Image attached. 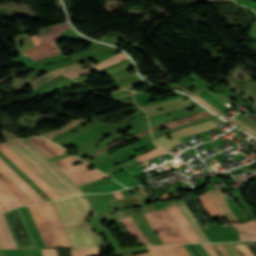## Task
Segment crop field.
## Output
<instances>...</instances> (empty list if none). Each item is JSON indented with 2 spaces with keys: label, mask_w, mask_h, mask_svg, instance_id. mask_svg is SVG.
<instances>
[{
  "label": "crop field",
  "mask_w": 256,
  "mask_h": 256,
  "mask_svg": "<svg viewBox=\"0 0 256 256\" xmlns=\"http://www.w3.org/2000/svg\"><path fill=\"white\" fill-rule=\"evenodd\" d=\"M6 144L13 151H15L32 169H34L62 197L77 194V193H83L27 139L15 141V142H9Z\"/></svg>",
  "instance_id": "crop-field-1"
},
{
  "label": "crop field",
  "mask_w": 256,
  "mask_h": 256,
  "mask_svg": "<svg viewBox=\"0 0 256 256\" xmlns=\"http://www.w3.org/2000/svg\"><path fill=\"white\" fill-rule=\"evenodd\" d=\"M56 207L72 248L95 247L82 220L92 209L85 195H75L52 201Z\"/></svg>",
  "instance_id": "crop-field-2"
},
{
  "label": "crop field",
  "mask_w": 256,
  "mask_h": 256,
  "mask_svg": "<svg viewBox=\"0 0 256 256\" xmlns=\"http://www.w3.org/2000/svg\"><path fill=\"white\" fill-rule=\"evenodd\" d=\"M168 211V210H167ZM166 209L146 213L144 216L153 228L160 235L163 244L189 243Z\"/></svg>",
  "instance_id": "crop-field-3"
},
{
  "label": "crop field",
  "mask_w": 256,
  "mask_h": 256,
  "mask_svg": "<svg viewBox=\"0 0 256 256\" xmlns=\"http://www.w3.org/2000/svg\"><path fill=\"white\" fill-rule=\"evenodd\" d=\"M0 151L5 154L22 172H24L52 200L61 198L38 174H36L19 156L5 143L0 144Z\"/></svg>",
  "instance_id": "crop-field-4"
},
{
  "label": "crop field",
  "mask_w": 256,
  "mask_h": 256,
  "mask_svg": "<svg viewBox=\"0 0 256 256\" xmlns=\"http://www.w3.org/2000/svg\"><path fill=\"white\" fill-rule=\"evenodd\" d=\"M217 126H219V125H217L214 122H212L211 120H209V121L197 124L195 126L183 129V130L165 134V135L161 136L160 138L154 140V142H155V144L159 145L160 147H162L163 149L168 151L171 148H173L174 146L180 144V141L178 139L186 137V136L194 134V133H197V132L212 129ZM168 135L172 138L171 140L166 138Z\"/></svg>",
  "instance_id": "crop-field-5"
},
{
  "label": "crop field",
  "mask_w": 256,
  "mask_h": 256,
  "mask_svg": "<svg viewBox=\"0 0 256 256\" xmlns=\"http://www.w3.org/2000/svg\"><path fill=\"white\" fill-rule=\"evenodd\" d=\"M60 247L71 248L62 222L51 202L41 204Z\"/></svg>",
  "instance_id": "crop-field-6"
},
{
  "label": "crop field",
  "mask_w": 256,
  "mask_h": 256,
  "mask_svg": "<svg viewBox=\"0 0 256 256\" xmlns=\"http://www.w3.org/2000/svg\"><path fill=\"white\" fill-rule=\"evenodd\" d=\"M47 247H59L40 205L28 206ZM30 213V214H31Z\"/></svg>",
  "instance_id": "crop-field-7"
},
{
  "label": "crop field",
  "mask_w": 256,
  "mask_h": 256,
  "mask_svg": "<svg viewBox=\"0 0 256 256\" xmlns=\"http://www.w3.org/2000/svg\"><path fill=\"white\" fill-rule=\"evenodd\" d=\"M16 209H18V211H19V213H20V215H21V218H22V220H23V222H24V225H25V227H26V229H27V231H28V234H29V236H30V238H31V241H32V243H33V245H34V247L19 248V246H18V244H17V242H16V240H15V237H14V235H13V233H12V230H11L9 224H8V221H7V219H6V217H5L4 213H3L2 215H3V217H4L5 221H6V224H7L8 228H9V230H10V233H11L13 239H14V242H15L17 248H18V249L37 248L36 245H35V243H34V240H33L32 236H31V233H30V231H29V229H28V226H27V224H26V222H25V219H24V217H23V215H22V212H21L20 208L18 207V208H16ZM16 209H13V210H16ZM13 210H10V211H13ZM8 212H9V211H8ZM5 213H6V212H5ZM2 215L0 214V248H1V249H17L16 246H15V244H14V242H13V239H12L10 233H9V230H8L6 224H5V221H4L3 217H2Z\"/></svg>",
  "instance_id": "crop-field-8"
},
{
  "label": "crop field",
  "mask_w": 256,
  "mask_h": 256,
  "mask_svg": "<svg viewBox=\"0 0 256 256\" xmlns=\"http://www.w3.org/2000/svg\"><path fill=\"white\" fill-rule=\"evenodd\" d=\"M0 170L8 176L27 196H29L35 203L45 202V200L38 195L26 182H24L11 168H9L0 159ZM28 197V198H29ZM29 198V199H30ZM30 199V200H31Z\"/></svg>",
  "instance_id": "crop-field-9"
},
{
  "label": "crop field",
  "mask_w": 256,
  "mask_h": 256,
  "mask_svg": "<svg viewBox=\"0 0 256 256\" xmlns=\"http://www.w3.org/2000/svg\"><path fill=\"white\" fill-rule=\"evenodd\" d=\"M167 210L172 216V218L175 220L177 225L180 227L182 232L185 234L187 239L190 241V243L201 242V240L196 235V233L194 232L190 224L187 222L181 211L178 209L176 204L167 208Z\"/></svg>",
  "instance_id": "crop-field-10"
},
{
  "label": "crop field",
  "mask_w": 256,
  "mask_h": 256,
  "mask_svg": "<svg viewBox=\"0 0 256 256\" xmlns=\"http://www.w3.org/2000/svg\"><path fill=\"white\" fill-rule=\"evenodd\" d=\"M58 38L60 37L55 36L54 38L26 51L24 54L31 56L35 61L59 54L54 42V40Z\"/></svg>",
  "instance_id": "crop-field-11"
},
{
  "label": "crop field",
  "mask_w": 256,
  "mask_h": 256,
  "mask_svg": "<svg viewBox=\"0 0 256 256\" xmlns=\"http://www.w3.org/2000/svg\"><path fill=\"white\" fill-rule=\"evenodd\" d=\"M209 193H210L217 209L219 210V212L225 219H227L229 222H239L237 217L231 211V209L222 193V189L211 190V191H209Z\"/></svg>",
  "instance_id": "crop-field-12"
},
{
  "label": "crop field",
  "mask_w": 256,
  "mask_h": 256,
  "mask_svg": "<svg viewBox=\"0 0 256 256\" xmlns=\"http://www.w3.org/2000/svg\"><path fill=\"white\" fill-rule=\"evenodd\" d=\"M29 140L33 144H35L49 158L68 153L66 150L54 145L53 143L49 142L48 140L42 137H33Z\"/></svg>",
  "instance_id": "crop-field-13"
},
{
  "label": "crop field",
  "mask_w": 256,
  "mask_h": 256,
  "mask_svg": "<svg viewBox=\"0 0 256 256\" xmlns=\"http://www.w3.org/2000/svg\"><path fill=\"white\" fill-rule=\"evenodd\" d=\"M68 176L78 185H82L85 184L87 182L90 181H94L97 179H101V178H107L106 175H104L103 173H101L100 171H98L97 169H92L90 171H88V169L86 170H82L79 172H75L72 174H68Z\"/></svg>",
  "instance_id": "crop-field-14"
},
{
  "label": "crop field",
  "mask_w": 256,
  "mask_h": 256,
  "mask_svg": "<svg viewBox=\"0 0 256 256\" xmlns=\"http://www.w3.org/2000/svg\"><path fill=\"white\" fill-rule=\"evenodd\" d=\"M71 28L68 24V22H62L58 24H54L51 26L43 27L39 29L38 36L40 39V42H44L48 39H50L52 36L57 35L67 29Z\"/></svg>",
  "instance_id": "crop-field-15"
},
{
  "label": "crop field",
  "mask_w": 256,
  "mask_h": 256,
  "mask_svg": "<svg viewBox=\"0 0 256 256\" xmlns=\"http://www.w3.org/2000/svg\"><path fill=\"white\" fill-rule=\"evenodd\" d=\"M121 223L123 224L124 228L126 229L127 233L131 237H137L139 240L138 243H145V245H151L150 242L144 237L141 233L139 228L137 227L136 223L132 219V217L122 218L120 219Z\"/></svg>",
  "instance_id": "crop-field-16"
},
{
  "label": "crop field",
  "mask_w": 256,
  "mask_h": 256,
  "mask_svg": "<svg viewBox=\"0 0 256 256\" xmlns=\"http://www.w3.org/2000/svg\"><path fill=\"white\" fill-rule=\"evenodd\" d=\"M191 256H207L199 244L183 245ZM182 245L170 246L177 256H190Z\"/></svg>",
  "instance_id": "crop-field-17"
},
{
  "label": "crop field",
  "mask_w": 256,
  "mask_h": 256,
  "mask_svg": "<svg viewBox=\"0 0 256 256\" xmlns=\"http://www.w3.org/2000/svg\"><path fill=\"white\" fill-rule=\"evenodd\" d=\"M239 230L241 240L256 239V221L248 223H230Z\"/></svg>",
  "instance_id": "crop-field-18"
},
{
  "label": "crop field",
  "mask_w": 256,
  "mask_h": 256,
  "mask_svg": "<svg viewBox=\"0 0 256 256\" xmlns=\"http://www.w3.org/2000/svg\"><path fill=\"white\" fill-rule=\"evenodd\" d=\"M176 204L179 207V209L182 211V213L184 214V216L186 217L188 222L191 224V226L193 227V229L195 230L197 235L200 237L202 242H208L207 238L205 237L204 233L200 229L199 225L197 224V222L195 221V219L191 215L190 211L188 210V208L186 207L184 202L181 200Z\"/></svg>",
  "instance_id": "crop-field-19"
},
{
  "label": "crop field",
  "mask_w": 256,
  "mask_h": 256,
  "mask_svg": "<svg viewBox=\"0 0 256 256\" xmlns=\"http://www.w3.org/2000/svg\"><path fill=\"white\" fill-rule=\"evenodd\" d=\"M0 176L3 177L10 185L4 182L0 178V182L13 194L15 195L24 205L33 204L34 202L30 200L12 181H10L6 176L0 172Z\"/></svg>",
  "instance_id": "crop-field-20"
},
{
  "label": "crop field",
  "mask_w": 256,
  "mask_h": 256,
  "mask_svg": "<svg viewBox=\"0 0 256 256\" xmlns=\"http://www.w3.org/2000/svg\"><path fill=\"white\" fill-rule=\"evenodd\" d=\"M218 256H242L233 243L210 244Z\"/></svg>",
  "instance_id": "crop-field-21"
},
{
  "label": "crop field",
  "mask_w": 256,
  "mask_h": 256,
  "mask_svg": "<svg viewBox=\"0 0 256 256\" xmlns=\"http://www.w3.org/2000/svg\"><path fill=\"white\" fill-rule=\"evenodd\" d=\"M201 203L205 207L206 211L210 215V217L217 215L225 224H228L224 218L220 215L218 210L216 209L214 203L212 202L208 192L203 193L202 195L198 196Z\"/></svg>",
  "instance_id": "crop-field-22"
},
{
  "label": "crop field",
  "mask_w": 256,
  "mask_h": 256,
  "mask_svg": "<svg viewBox=\"0 0 256 256\" xmlns=\"http://www.w3.org/2000/svg\"><path fill=\"white\" fill-rule=\"evenodd\" d=\"M0 199L7 205L9 209L23 205L1 183H0Z\"/></svg>",
  "instance_id": "crop-field-23"
},
{
  "label": "crop field",
  "mask_w": 256,
  "mask_h": 256,
  "mask_svg": "<svg viewBox=\"0 0 256 256\" xmlns=\"http://www.w3.org/2000/svg\"><path fill=\"white\" fill-rule=\"evenodd\" d=\"M148 133H150V130H149V129L146 130V131H144V132H141V133H139V134H137V135L131 136V137H129V138L116 141V142H114V143L108 145V146L105 147L104 149L100 150L99 152H97V153H95V154H93V155H91V156H89V157H87V158H85V159H83V160L87 161V160H89V159H91V158H93V157H95V156H97V155H99V154L105 152L106 150H108V149H110V148H112V147H114V146H116V145H119V144H121V143H124V142H126V141H128V140H131V139H133V138H137V137L144 136V135H146V134H148Z\"/></svg>",
  "instance_id": "crop-field-24"
},
{
  "label": "crop field",
  "mask_w": 256,
  "mask_h": 256,
  "mask_svg": "<svg viewBox=\"0 0 256 256\" xmlns=\"http://www.w3.org/2000/svg\"><path fill=\"white\" fill-rule=\"evenodd\" d=\"M124 59H127V57L125 55H123L122 53L114 56V57H111L103 62H100L94 66H92L96 71L101 69V68H104V67H107V66H110L112 64H115V63H118Z\"/></svg>",
  "instance_id": "crop-field-25"
},
{
  "label": "crop field",
  "mask_w": 256,
  "mask_h": 256,
  "mask_svg": "<svg viewBox=\"0 0 256 256\" xmlns=\"http://www.w3.org/2000/svg\"><path fill=\"white\" fill-rule=\"evenodd\" d=\"M154 256H176L169 246H149Z\"/></svg>",
  "instance_id": "crop-field-26"
},
{
  "label": "crop field",
  "mask_w": 256,
  "mask_h": 256,
  "mask_svg": "<svg viewBox=\"0 0 256 256\" xmlns=\"http://www.w3.org/2000/svg\"><path fill=\"white\" fill-rule=\"evenodd\" d=\"M163 153H165L163 150H161L160 148L156 147V148L150 150L149 152L144 153V154H142L140 156H137L135 158L138 159L140 162H143L145 160H148L150 158H153V157L158 156V155L163 154Z\"/></svg>",
  "instance_id": "crop-field-27"
},
{
  "label": "crop field",
  "mask_w": 256,
  "mask_h": 256,
  "mask_svg": "<svg viewBox=\"0 0 256 256\" xmlns=\"http://www.w3.org/2000/svg\"><path fill=\"white\" fill-rule=\"evenodd\" d=\"M58 75H60V74L50 72V73L46 74L45 76H43L42 78L35 81L34 83L30 84V86L35 90L39 86H41L43 83L47 82L48 80H50Z\"/></svg>",
  "instance_id": "crop-field-28"
},
{
  "label": "crop field",
  "mask_w": 256,
  "mask_h": 256,
  "mask_svg": "<svg viewBox=\"0 0 256 256\" xmlns=\"http://www.w3.org/2000/svg\"><path fill=\"white\" fill-rule=\"evenodd\" d=\"M207 113H209V112L205 111V112H203L201 114H198V115H195V116H192V117H188V118H184V119H180V120H176V121H171V122H166V123H163V124H161L159 126H156V127L152 128L151 131L153 132V131H155V130L161 128V127H164V126H168V125H172V124H175V123H178V122H182V121L198 118V117H200L202 115H205Z\"/></svg>",
  "instance_id": "crop-field-29"
},
{
  "label": "crop field",
  "mask_w": 256,
  "mask_h": 256,
  "mask_svg": "<svg viewBox=\"0 0 256 256\" xmlns=\"http://www.w3.org/2000/svg\"><path fill=\"white\" fill-rule=\"evenodd\" d=\"M89 65H93V64L90 63V64L80 66L79 63H77V64H74V65H71V66H68V67H64V68L54 70V72H59L61 74H64V73L71 72V71H74V70L82 69L83 67H87Z\"/></svg>",
  "instance_id": "crop-field-30"
},
{
  "label": "crop field",
  "mask_w": 256,
  "mask_h": 256,
  "mask_svg": "<svg viewBox=\"0 0 256 256\" xmlns=\"http://www.w3.org/2000/svg\"><path fill=\"white\" fill-rule=\"evenodd\" d=\"M230 122L238 125L239 127L243 128L244 130H246L247 132L251 133L252 135L256 136V132L254 130H252L251 128L247 127L246 125H244L243 123H241L240 121H238L237 119H232L230 120Z\"/></svg>",
  "instance_id": "crop-field-31"
},
{
  "label": "crop field",
  "mask_w": 256,
  "mask_h": 256,
  "mask_svg": "<svg viewBox=\"0 0 256 256\" xmlns=\"http://www.w3.org/2000/svg\"><path fill=\"white\" fill-rule=\"evenodd\" d=\"M89 71L88 69H83V70H79V71H74V72H71V73H67V74H64L66 76H69L71 78H75V77H79V76H82V75H85V74H88Z\"/></svg>",
  "instance_id": "crop-field-32"
},
{
  "label": "crop field",
  "mask_w": 256,
  "mask_h": 256,
  "mask_svg": "<svg viewBox=\"0 0 256 256\" xmlns=\"http://www.w3.org/2000/svg\"><path fill=\"white\" fill-rule=\"evenodd\" d=\"M244 256H254L246 245H237Z\"/></svg>",
  "instance_id": "crop-field-33"
},
{
  "label": "crop field",
  "mask_w": 256,
  "mask_h": 256,
  "mask_svg": "<svg viewBox=\"0 0 256 256\" xmlns=\"http://www.w3.org/2000/svg\"><path fill=\"white\" fill-rule=\"evenodd\" d=\"M194 98H196L199 102H201L202 104H204L205 106L209 107L211 110H213L214 112L218 113L219 115H221L222 117H224L225 119H227L225 116H223L220 112H218L216 109H214L212 106H210L208 103H206L205 101H203L201 98H199L198 96L194 95ZM229 120V119H227Z\"/></svg>",
  "instance_id": "crop-field-34"
},
{
  "label": "crop field",
  "mask_w": 256,
  "mask_h": 256,
  "mask_svg": "<svg viewBox=\"0 0 256 256\" xmlns=\"http://www.w3.org/2000/svg\"><path fill=\"white\" fill-rule=\"evenodd\" d=\"M44 256H57L56 249H42Z\"/></svg>",
  "instance_id": "crop-field-35"
},
{
  "label": "crop field",
  "mask_w": 256,
  "mask_h": 256,
  "mask_svg": "<svg viewBox=\"0 0 256 256\" xmlns=\"http://www.w3.org/2000/svg\"><path fill=\"white\" fill-rule=\"evenodd\" d=\"M203 248L207 251V253L210 255V256H217L216 253L213 251V249L210 247L209 244H204L202 245Z\"/></svg>",
  "instance_id": "crop-field-36"
},
{
  "label": "crop field",
  "mask_w": 256,
  "mask_h": 256,
  "mask_svg": "<svg viewBox=\"0 0 256 256\" xmlns=\"http://www.w3.org/2000/svg\"><path fill=\"white\" fill-rule=\"evenodd\" d=\"M0 206L3 208L4 211L8 210V208L5 206V204L0 200ZM0 207V212H2V208Z\"/></svg>",
  "instance_id": "crop-field-37"
},
{
  "label": "crop field",
  "mask_w": 256,
  "mask_h": 256,
  "mask_svg": "<svg viewBox=\"0 0 256 256\" xmlns=\"http://www.w3.org/2000/svg\"><path fill=\"white\" fill-rule=\"evenodd\" d=\"M113 194H114L115 198H123L120 191L114 192Z\"/></svg>",
  "instance_id": "crop-field-38"
},
{
  "label": "crop field",
  "mask_w": 256,
  "mask_h": 256,
  "mask_svg": "<svg viewBox=\"0 0 256 256\" xmlns=\"http://www.w3.org/2000/svg\"><path fill=\"white\" fill-rule=\"evenodd\" d=\"M137 256H153V255L150 252H147V253H143V254H140Z\"/></svg>",
  "instance_id": "crop-field-39"
}]
</instances>
